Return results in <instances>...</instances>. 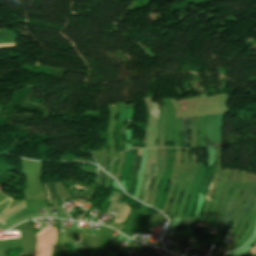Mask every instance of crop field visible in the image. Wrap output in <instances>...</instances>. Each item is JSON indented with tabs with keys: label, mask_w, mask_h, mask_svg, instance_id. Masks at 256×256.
Instances as JSON below:
<instances>
[{
	"label": "crop field",
	"mask_w": 256,
	"mask_h": 256,
	"mask_svg": "<svg viewBox=\"0 0 256 256\" xmlns=\"http://www.w3.org/2000/svg\"><path fill=\"white\" fill-rule=\"evenodd\" d=\"M104 175H105V172H103L102 170H99L98 178H97V182L96 183L102 185L103 180H104Z\"/></svg>",
	"instance_id": "crop-field-8"
},
{
	"label": "crop field",
	"mask_w": 256,
	"mask_h": 256,
	"mask_svg": "<svg viewBox=\"0 0 256 256\" xmlns=\"http://www.w3.org/2000/svg\"><path fill=\"white\" fill-rule=\"evenodd\" d=\"M144 100L146 102L149 115L158 119L159 118V109H158L157 103H153L151 97L145 98Z\"/></svg>",
	"instance_id": "crop-field-5"
},
{
	"label": "crop field",
	"mask_w": 256,
	"mask_h": 256,
	"mask_svg": "<svg viewBox=\"0 0 256 256\" xmlns=\"http://www.w3.org/2000/svg\"><path fill=\"white\" fill-rule=\"evenodd\" d=\"M45 185V184H44ZM48 190H49V194H50V198L51 200H55V199H59L58 197V193H57V189H56V185L55 184H47ZM47 187L45 185L46 188V192L48 194V190ZM49 194H48V198H49ZM50 200V199H49Z\"/></svg>",
	"instance_id": "crop-field-6"
},
{
	"label": "crop field",
	"mask_w": 256,
	"mask_h": 256,
	"mask_svg": "<svg viewBox=\"0 0 256 256\" xmlns=\"http://www.w3.org/2000/svg\"><path fill=\"white\" fill-rule=\"evenodd\" d=\"M189 121H190V118L182 119V133H183L182 148H189L190 146V135L188 133Z\"/></svg>",
	"instance_id": "crop-field-4"
},
{
	"label": "crop field",
	"mask_w": 256,
	"mask_h": 256,
	"mask_svg": "<svg viewBox=\"0 0 256 256\" xmlns=\"http://www.w3.org/2000/svg\"><path fill=\"white\" fill-rule=\"evenodd\" d=\"M256 199V188L254 189L253 193L250 195L249 199L247 200L246 204L243 207L244 212H250L251 206Z\"/></svg>",
	"instance_id": "crop-field-7"
},
{
	"label": "crop field",
	"mask_w": 256,
	"mask_h": 256,
	"mask_svg": "<svg viewBox=\"0 0 256 256\" xmlns=\"http://www.w3.org/2000/svg\"><path fill=\"white\" fill-rule=\"evenodd\" d=\"M222 115L223 114L208 116V121H207L208 144H207V146H210L213 144H221L220 126H221Z\"/></svg>",
	"instance_id": "crop-field-1"
},
{
	"label": "crop field",
	"mask_w": 256,
	"mask_h": 256,
	"mask_svg": "<svg viewBox=\"0 0 256 256\" xmlns=\"http://www.w3.org/2000/svg\"><path fill=\"white\" fill-rule=\"evenodd\" d=\"M7 45H15L14 43H10V44H0V46H7Z\"/></svg>",
	"instance_id": "crop-field-10"
},
{
	"label": "crop field",
	"mask_w": 256,
	"mask_h": 256,
	"mask_svg": "<svg viewBox=\"0 0 256 256\" xmlns=\"http://www.w3.org/2000/svg\"><path fill=\"white\" fill-rule=\"evenodd\" d=\"M235 203H236L235 200H231V199L229 200V204H228V207H227V211H226L223 223L221 224V226L219 228V230L222 231V232H226V227L229 224V222L232 220V215H233V210H234V207H235Z\"/></svg>",
	"instance_id": "crop-field-2"
},
{
	"label": "crop field",
	"mask_w": 256,
	"mask_h": 256,
	"mask_svg": "<svg viewBox=\"0 0 256 256\" xmlns=\"http://www.w3.org/2000/svg\"><path fill=\"white\" fill-rule=\"evenodd\" d=\"M155 165L156 163H151V167L147 176V179L145 181V187H144V195H143V202L147 203V197L149 195L150 192V188L152 185V181H153V176H154V171H155Z\"/></svg>",
	"instance_id": "crop-field-3"
},
{
	"label": "crop field",
	"mask_w": 256,
	"mask_h": 256,
	"mask_svg": "<svg viewBox=\"0 0 256 256\" xmlns=\"http://www.w3.org/2000/svg\"><path fill=\"white\" fill-rule=\"evenodd\" d=\"M82 248H83V255L90 256V246L82 244Z\"/></svg>",
	"instance_id": "crop-field-9"
}]
</instances>
